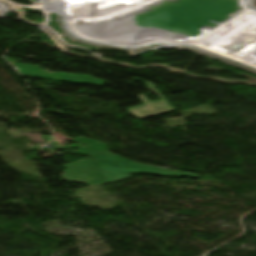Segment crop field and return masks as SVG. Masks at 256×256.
Returning <instances> with one entry per match:
<instances>
[{"label": "crop field", "instance_id": "8a807250", "mask_svg": "<svg viewBox=\"0 0 256 256\" xmlns=\"http://www.w3.org/2000/svg\"><path fill=\"white\" fill-rule=\"evenodd\" d=\"M6 60L10 64H12L23 76L38 77V78L51 79V80L64 81V82L92 84V85H103L104 83V81L95 80L93 77H89V76L44 71V70H39L37 66L19 65L9 58H6Z\"/></svg>", "mask_w": 256, "mask_h": 256}, {"label": "crop field", "instance_id": "ac0d7876", "mask_svg": "<svg viewBox=\"0 0 256 256\" xmlns=\"http://www.w3.org/2000/svg\"><path fill=\"white\" fill-rule=\"evenodd\" d=\"M149 89L155 92L162 101L159 102H150L147 98L143 95H140L139 98L144 102L143 105L137 106L134 108L128 109V111L133 114L134 116L143 119L147 117H151L154 115L166 113L169 111H173V107L167 101L165 97H163L153 86L150 82H145Z\"/></svg>", "mask_w": 256, "mask_h": 256}]
</instances>
